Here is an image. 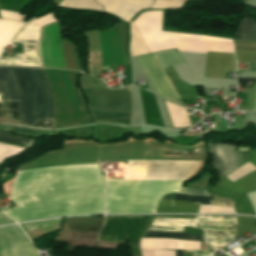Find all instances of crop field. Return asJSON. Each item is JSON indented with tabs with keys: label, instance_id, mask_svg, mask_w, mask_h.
I'll return each instance as SVG.
<instances>
[{
	"label": "crop field",
	"instance_id": "8a807250",
	"mask_svg": "<svg viewBox=\"0 0 256 256\" xmlns=\"http://www.w3.org/2000/svg\"><path fill=\"white\" fill-rule=\"evenodd\" d=\"M104 185L99 164L19 171L11 196L19 206L5 213L17 222L59 215L103 214Z\"/></svg>",
	"mask_w": 256,
	"mask_h": 256
},
{
	"label": "crop field",
	"instance_id": "ac0d7876",
	"mask_svg": "<svg viewBox=\"0 0 256 256\" xmlns=\"http://www.w3.org/2000/svg\"><path fill=\"white\" fill-rule=\"evenodd\" d=\"M146 164V179H187L198 162L131 161ZM184 180L169 181H107L106 214L155 213L160 198L169 192H178Z\"/></svg>",
	"mask_w": 256,
	"mask_h": 256
},
{
	"label": "crop field",
	"instance_id": "34b2d1b8",
	"mask_svg": "<svg viewBox=\"0 0 256 256\" xmlns=\"http://www.w3.org/2000/svg\"><path fill=\"white\" fill-rule=\"evenodd\" d=\"M0 91L3 102L18 101L20 125L53 119L52 92L42 69L0 66Z\"/></svg>",
	"mask_w": 256,
	"mask_h": 256
},
{
	"label": "crop field",
	"instance_id": "412701ff",
	"mask_svg": "<svg viewBox=\"0 0 256 256\" xmlns=\"http://www.w3.org/2000/svg\"><path fill=\"white\" fill-rule=\"evenodd\" d=\"M88 106L131 108L130 90L83 89ZM93 120L130 123L131 109L88 107Z\"/></svg>",
	"mask_w": 256,
	"mask_h": 256
},
{
	"label": "crop field",
	"instance_id": "f4fd0767",
	"mask_svg": "<svg viewBox=\"0 0 256 256\" xmlns=\"http://www.w3.org/2000/svg\"><path fill=\"white\" fill-rule=\"evenodd\" d=\"M154 216H107L98 240L130 241L132 256H141L139 240Z\"/></svg>",
	"mask_w": 256,
	"mask_h": 256
},
{
	"label": "crop field",
	"instance_id": "dd49c442",
	"mask_svg": "<svg viewBox=\"0 0 256 256\" xmlns=\"http://www.w3.org/2000/svg\"><path fill=\"white\" fill-rule=\"evenodd\" d=\"M95 143H66L65 150L52 151L44 156L20 165L18 170L36 167L98 163Z\"/></svg>",
	"mask_w": 256,
	"mask_h": 256
},
{
	"label": "crop field",
	"instance_id": "e52e79f7",
	"mask_svg": "<svg viewBox=\"0 0 256 256\" xmlns=\"http://www.w3.org/2000/svg\"><path fill=\"white\" fill-rule=\"evenodd\" d=\"M98 149L100 160H166V151H189L187 147L169 143H144Z\"/></svg>",
	"mask_w": 256,
	"mask_h": 256
},
{
	"label": "crop field",
	"instance_id": "d8731c3e",
	"mask_svg": "<svg viewBox=\"0 0 256 256\" xmlns=\"http://www.w3.org/2000/svg\"><path fill=\"white\" fill-rule=\"evenodd\" d=\"M41 45L43 67L64 68L59 22L41 28ZM41 45L39 40L36 51L40 59Z\"/></svg>",
	"mask_w": 256,
	"mask_h": 256
},
{
	"label": "crop field",
	"instance_id": "5a996713",
	"mask_svg": "<svg viewBox=\"0 0 256 256\" xmlns=\"http://www.w3.org/2000/svg\"><path fill=\"white\" fill-rule=\"evenodd\" d=\"M212 157V165L219 177H223L239 168L235 146L226 144H207Z\"/></svg>",
	"mask_w": 256,
	"mask_h": 256
},
{
	"label": "crop field",
	"instance_id": "3316defc",
	"mask_svg": "<svg viewBox=\"0 0 256 256\" xmlns=\"http://www.w3.org/2000/svg\"><path fill=\"white\" fill-rule=\"evenodd\" d=\"M216 186L240 196H242L245 193L255 191L256 190V170L236 180L233 183L230 182L225 177H223L219 179Z\"/></svg>",
	"mask_w": 256,
	"mask_h": 256
},
{
	"label": "crop field",
	"instance_id": "28ad6ade",
	"mask_svg": "<svg viewBox=\"0 0 256 256\" xmlns=\"http://www.w3.org/2000/svg\"><path fill=\"white\" fill-rule=\"evenodd\" d=\"M199 203L161 200L157 213H197Z\"/></svg>",
	"mask_w": 256,
	"mask_h": 256
},
{
	"label": "crop field",
	"instance_id": "d1516ede",
	"mask_svg": "<svg viewBox=\"0 0 256 256\" xmlns=\"http://www.w3.org/2000/svg\"><path fill=\"white\" fill-rule=\"evenodd\" d=\"M208 192L214 193V194H218V195H222V196H225V197H227L229 199L237 200L238 203H237V205L235 207L236 213L255 215L254 212H253L252 205H251L247 195H245L243 197H240V196L231 194L232 192L229 193V192H227L225 190L216 188L214 186L210 187Z\"/></svg>",
	"mask_w": 256,
	"mask_h": 256
},
{
	"label": "crop field",
	"instance_id": "22f410ed",
	"mask_svg": "<svg viewBox=\"0 0 256 256\" xmlns=\"http://www.w3.org/2000/svg\"><path fill=\"white\" fill-rule=\"evenodd\" d=\"M235 40H256V20L241 19L235 32Z\"/></svg>",
	"mask_w": 256,
	"mask_h": 256
},
{
	"label": "crop field",
	"instance_id": "cbeb9de0",
	"mask_svg": "<svg viewBox=\"0 0 256 256\" xmlns=\"http://www.w3.org/2000/svg\"><path fill=\"white\" fill-rule=\"evenodd\" d=\"M24 23L0 19V52Z\"/></svg>",
	"mask_w": 256,
	"mask_h": 256
},
{
	"label": "crop field",
	"instance_id": "5142ce71",
	"mask_svg": "<svg viewBox=\"0 0 256 256\" xmlns=\"http://www.w3.org/2000/svg\"><path fill=\"white\" fill-rule=\"evenodd\" d=\"M142 238H175L184 240L204 241L202 236L187 235L181 233L145 232Z\"/></svg>",
	"mask_w": 256,
	"mask_h": 256
},
{
	"label": "crop field",
	"instance_id": "d9b57169",
	"mask_svg": "<svg viewBox=\"0 0 256 256\" xmlns=\"http://www.w3.org/2000/svg\"><path fill=\"white\" fill-rule=\"evenodd\" d=\"M0 130L10 131L30 137H37L39 135H49L52 134V130H34L22 127H15V126H7V125H0Z\"/></svg>",
	"mask_w": 256,
	"mask_h": 256
},
{
	"label": "crop field",
	"instance_id": "733c2abd",
	"mask_svg": "<svg viewBox=\"0 0 256 256\" xmlns=\"http://www.w3.org/2000/svg\"><path fill=\"white\" fill-rule=\"evenodd\" d=\"M0 118L17 119V103H0Z\"/></svg>",
	"mask_w": 256,
	"mask_h": 256
},
{
	"label": "crop field",
	"instance_id": "4a817a6b",
	"mask_svg": "<svg viewBox=\"0 0 256 256\" xmlns=\"http://www.w3.org/2000/svg\"><path fill=\"white\" fill-rule=\"evenodd\" d=\"M213 195L208 196H195V195H184V194H176L173 200L179 201H193V202H200L203 204L212 205L213 203Z\"/></svg>",
	"mask_w": 256,
	"mask_h": 256
},
{
	"label": "crop field",
	"instance_id": "bc2a9ffb",
	"mask_svg": "<svg viewBox=\"0 0 256 256\" xmlns=\"http://www.w3.org/2000/svg\"><path fill=\"white\" fill-rule=\"evenodd\" d=\"M33 141L34 140L32 139L20 138V137H15V136L0 133V142H4V143L20 145V146H25L30 148Z\"/></svg>",
	"mask_w": 256,
	"mask_h": 256
},
{
	"label": "crop field",
	"instance_id": "214f88e0",
	"mask_svg": "<svg viewBox=\"0 0 256 256\" xmlns=\"http://www.w3.org/2000/svg\"><path fill=\"white\" fill-rule=\"evenodd\" d=\"M23 150V148L13 147L9 145L0 144V162L8 156L14 155L19 151Z\"/></svg>",
	"mask_w": 256,
	"mask_h": 256
},
{
	"label": "crop field",
	"instance_id": "92a150f3",
	"mask_svg": "<svg viewBox=\"0 0 256 256\" xmlns=\"http://www.w3.org/2000/svg\"><path fill=\"white\" fill-rule=\"evenodd\" d=\"M0 16L5 17V18L14 19V20H19V21H22V19L24 18V15H22L20 13L10 12V11H2V10H0Z\"/></svg>",
	"mask_w": 256,
	"mask_h": 256
},
{
	"label": "crop field",
	"instance_id": "dafd665d",
	"mask_svg": "<svg viewBox=\"0 0 256 256\" xmlns=\"http://www.w3.org/2000/svg\"><path fill=\"white\" fill-rule=\"evenodd\" d=\"M32 127L53 128V120L33 121Z\"/></svg>",
	"mask_w": 256,
	"mask_h": 256
},
{
	"label": "crop field",
	"instance_id": "00972430",
	"mask_svg": "<svg viewBox=\"0 0 256 256\" xmlns=\"http://www.w3.org/2000/svg\"><path fill=\"white\" fill-rule=\"evenodd\" d=\"M179 193L184 194H195V195H207L206 191L190 189V188H181Z\"/></svg>",
	"mask_w": 256,
	"mask_h": 256
},
{
	"label": "crop field",
	"instance_id": "a9b5d70f",
	"mask_svg": "<svg viewBox=\"0 0 256 256\" xmlns=\"http://www.w3.org/2000/svg\"><path fill=\"white\" fill-rule=\"evenodd\" d=\"M239 86L251 87L256 78H237Z\"/></svg>",
	"mask_w": 256,
	"mask_h": 256
},
{
	"label": "crop field",
	"instance_id": "4177f3b9",
	"mask_svg": "<svg viewBox=\"0 0 256 256\" xmlns=\"http://www.w3.org/2000/svg\"><path fill=\"white\" fill-rule=\"evenodd\" d=\"M204 157H192L191 159H184V157H167V160H184V161H203Z\"/></svg>",
	"mask_w": 256,
	"mask_h": 256
},
{
	"label": "crop field",
	"instance_id": "730fd06b",
	"mask_svg": "<svg viewBox=\"0 0 256 256\" xmlns=\"http://www.w3.org/2000/svg\"><path fill=\"white\" fill-rule=\"evenodd\" d=\"M249 162L256 165V149L251 150Z\"/></svg>",
	"mask_w": 256,
	"mask_h": 256
},
{
	"label": "crop field",
	"instance_id": "eef30255",
	"mask_svg": "<svg viewBox=\"0 0 256 256\" xmlns=\"http://www.w3.org/2000/svg\"><path fill=\"white\" fill-rule=\"evenodd\" d=\"M175 256H183L182 250H175Z\"/></svg>",
	"mask_w": 256,
	"mask_h": 256
},
{
	"label": "crop field",
	"instance_id": "ae1a2a85",
	"mask_svg": "<svg viewBox=\"0 0 256 256\" xmlns=\"http://www.w3.org/2000/svg\"><path fill=\"white\" fill-rule=\"evenodd\" d=\"M110 66H106V67H103V69H105V68H109Z\"/></svg>",
	"mask_w": 256,
	"mask_h": 256
}]
</instances>
